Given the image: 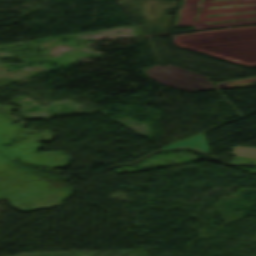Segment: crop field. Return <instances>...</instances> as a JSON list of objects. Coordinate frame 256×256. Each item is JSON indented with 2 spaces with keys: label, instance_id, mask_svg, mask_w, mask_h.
<instances>
[{
  "label": "crop field",
  "instance_id": "1",
  "mask_svg": "<svg viewBox=\"0 0 256 256\" xmlns=\"http://www.w3.org/2000/svg\"><path fill=\"white\" fill-rule=\"evenodd\" d=\"M175 147H189L207 154L210 153L202 133L196 136L190 137L188 139L182 140L180 142L174 143L172 145H169L163 149L175 148Z\"/></svg>",
  "mask_w": 256,
  "mask_h": 256
},
{
  "label": "crop field",
  "instance_id": "2",
  "mask_svg": "<svg viewBox=\"0 0 256 256\" xmlns=\"http://www.w3.org/2000/svg\"><path fill=\"white\" fill-rule=\"evenodd\" d=\"M230 150H234L232 153H230L232 155L256 157V148L235 146L230 148Z\"/></svg>",
  "mask_w": 256,
  "mask_h": 256
},
{
  "label": "crop field",
  "instance_id": "3",
  "mask_svg": "<svg viewBox=\"0 0 256 256\" xmlns=\"http://www.w3.org/2000/svg\"><path fill=\"white\" fill-rule=\"evenodd\" d=\"M232 162L256 163V158L235 156V159Z\"/></svg>",
  "mask_w": 256,
  "mask_h": 256
}]
</instances>
